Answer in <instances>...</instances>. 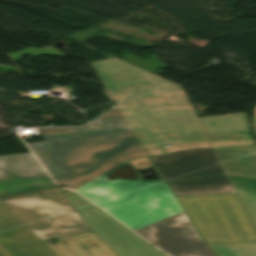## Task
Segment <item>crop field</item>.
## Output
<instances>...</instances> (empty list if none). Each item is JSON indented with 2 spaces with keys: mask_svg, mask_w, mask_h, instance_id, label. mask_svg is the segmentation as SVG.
<instances>
[{
  "mask_svg": "<svg viewBox=\"0 0 256 256\" xmlns=\"http://www.w3.org/2000/svg\"><path fill=\"white\" fill-rule=\"evenodd\" d=\"M101 208L170 256H215L197 235L165 183L97 177L79 191Z\"/></svg>",
  "mask_w": 256,
  "mask_h": 256,
  "instance_id": "crop-field-1",
  "label": "crop field"
},
{
  "mask_svg": "<svg viewBox=\"0 0 256 256\" xmlns=\"http://www.w3.org/2000/svg\"><path fill=\"white\" fill-rule=\"evenodd\" d=\"M17 195L30 196L4 202L39 239L90 231L31 153L0 157V199ZM47 214L53 218L43 217Z\"/></svg>",
  "mask_w": 256,
  "mask_h": 256,
  "instance_id": "crop-field-2",
  "label": "crop field"
},
{
  "mask_svg": "<svg viewBox=\"0 0 256 256\" xmlns=\"http://www.w3.org/2000/svg\"><path fill=\"white\" fill-rule=\"evenodd\" d=\"M117 108L149 155L211 148L180 86L167 80Z\"/></svg>",
  "mask_w": 256,
  "mask_h": 256,
  "instance_id": "crop-field-3",
  "label": "crop field"
},
{
  "mask_svg": "<svg viewBox=\"0 0 256 256\" xmlns=\"http://www.w3.org/2000/svg\"><path fill=\"white\" fill-rule=\"evenodd\" d=\"M60 186L146 154L132 130L27 144Z\"/></svg>",
  "mask_w": 256,
  "mask_h": 256,
  "instance_id": "crop-field-4",
  "label": "crop field"
},
{
  "mask_svg": "<svg viewBox=\"0 0 256 256\" xmlns=\"http://www.w3.org/2000/svg\"><path fill=\"white\" fill-rule=\"evenodd\" d=\"M176 199L206 244L256 241V235L234 194Z\"/></svg>",
  "mask_w": 256,
  "mask_h": 256,
  "instance_id": "crop-field-5",
  "label": "crop field"
},
{
  "mask_svg": "<svg viewBox=\"0 0 256 256\" xmlns=\"http://www.w3.org/2000/svg\"><path fill=\"white\" fill-rule=\"evenodd\" d=\"M65 196L81 214L93 233L116 255L167 256L72 191Z\"/></svg>",
  "mask_w": 256,
  "mask_h": 256,
  "instance_id": "crop-field-6",
  "label": "crop field"
},
{
  "mask_svg": "<svg viewBox=\"0 0 256 256\" xmlns=\"http://www.w3.org/2000/svg\"><path fill=\"white\" fill-rule=\"evenodd\" d=\"M90 65L116 105L161 80L116 58L91 62Z\"/></svg>",
  "mask_w": 256,
  "mask_h": 256,
  "instance_id": "crop-field-7",
  "label": "crop field"
},
{
  "mask_svg": "<svg viewBox=\"0 0 256 256\" xmlns=\"http://www.w3.org/2000/svg\"><path fill=\"white\" fill-rule=\"evenodd\" d=\"M150 158L166 182L224 173L213 150L182 152Z\"/></svg>",
  "mask_w": 256,
  "mask_h": 256,
  "instance_id": "crop-field-8",
  "label": "crop field"
},
{
  "mask_svg": "<svg viewBox=\"0 0 256 256\" xmlns=\"http://www.w3.org/2000/svg\"><path fill=\"white\" fill-rule=\"evenodd\" d=\"M0 246L10 256H55L3 201H0ZM0 256L7 255L0 249Z\"/></svg>",
  "mask_w": 256,
  "mask_h": 256,
  "instance_id": "crop-field-9",
  "label": "crop field"
},
{
  "mask_svg": "<svg viewBox=\"0 0 256 256\" xmlns=\"http://www.w3.org/2000/svg\"><path fill=\"white\" fill-rule=\"evenodd\" d=\"M213 149L255 145L245 114L198 118Z\"/></svg>",
  "mask_w": 256,
  "mask_h": 256,
  "instance_id": "crop-field-10",
  "label": "crop field"
},
{
  "mask_svg": "<svg viewBox=\"0 0 256 256\" xmlns=\"http://www.w3.org/2000/svg\"><path fill=\"white\" fill-rule=\"evenodd\" d=\"M128 129H130V127L123 118L122 114L116 108L85 127H56L39 129V131L42 134L44 140H48Z\"/></svg>",
  "mask_w": 256,
  "mask_h": 256,
  "instance_id": "crop-field-11",
  "label": "crop field"
},
{
  "mask_svg": "<svg viewBox=\"0 0 256 256\" xmlns=\"http://www.w3.org/2000/svg\"><path fill=\"white\" fill-rule=\"evenodd\" d=\"M57 240L54 244L44 241L57 256H116L92 232Z\"/></svg>",
  "mask_w": 256,
  "mask_h": 256,
  "instance_id": "crop-field-12",
  "label": "crop field"
},
{
  "mask_svg": "<svg viewBox=\"0 0 256 256\" xmlns=\"http://www.w3.org/2000/svg\"><path fill=\"white\" fill-rule=\"evenodd\" d=\"M174 196L234 193L226 175L169 183Z\"/></svg>",
  "mask_w": 256,
  "mask_h": 256,
  "instance_id": "crop-field-13",
  "label": "crop field"
},
{
  "mask_svg": "<svg viewBox=\"0 0 256 256\" xmlns=\"http://www.w3.org/2000/svg\"><path fill=\"white\" fill-rule=\"evenodd\" d=\"M215 153L225 173L256 177V148L222 149Z\"/></svg>",
  "mask_w": 256,
  "mask_h": 256,
  "instance_id": "crop-field-14",
  "label": "crop field"
},
{
  "mask_svg": "<svg viewBox=\"0 0 256 256\" xmlns=\"http://www.w3.org/2000/svg\"><path fill=\"white\" fill-rule=\"evenodd\" d=\"M256 230V179L228 175Z\"/></svg>",
  "mask_w": 256,
  "mask_h": 256,
  "instance_id": "crop-field-15",
  "label": "crop field"
},
{
  "mask_svg": "<svg viewBox=\"0 0 256 256\" xmlns=\"http://www.w3.org/2000/svg\"><path fill=\"white\" fill-rule=\"evenodd\" d=\"M208 246L217 256H256V242Z\"/></svg>",
  "mask_w": 256,
  "mask_h": 256,
  "instance_id": "crop-field-16",
  "label": "crop field"
},
{
  "mask_svg": "<svg viewBox=\"0 0 256 256\" xmlns=\"http://www.w3.org/2000/svg\"><path fill=\"white\" fill-rule=\"evenodd\" d=\"M127 162L130 163L133 167H141V166H147L151 164L148 158V155L138 156Z\"/></svg>",
  "mask_w": 256,
  "mask_h": 256,
  "instance_id": "crop-field-17",
  "label": "crop field"
},
{
  "mask_svg": "<svg viewBox=\"0 0 256 256\" xmlns=\"http://www.w3.org/2000/svg\"><path fill=\"white\" fill-rule=\"evenodd\" d=\"M100 174H102V173L94 174V175H91V176L84 177V178H82V179H80L78 181H75V182L69 184L67 186V188H71V189H74V190L78 191V190L81 189L80 188L81 185L87 183L88 181H90L91 179H93V178H95L97 176H100Z\"/></svg>",
  "mask_w": 256,
  "mask_h": 256,
  "instance_id": "crop-field-18",
  "label": "crop field"
},
{
  "mask_svg": "<svg viewBox=\"0 0 256 256\" xmlns=\"http://www.w3.org/2000/svg\"><path fill=\"white\" fill-rule=\"evenodd\" d=\"M252 119H253V124H254L255 132H256V117H252Z\"/></svg>",
  "mask_w": 256,
  "mask_h": 256,
  "instance_id": "crop-field-19",
  "label": "crop field"
},
{
  "mask_svg": "<svg viewBox=\"0 0 256 256\" xmlns=\"http://www.w3.org/2000/svg\"><path fill=\"white\" fill-rule=\"evenodd\" d=\"M108 187H109V185H108ZM109 189L111 190V188L109 187ZM112 191V190H111ZM112 193H113V191H112ZM114 194V193H113ZM115 195V194H114ZM115 197H116V195H115ZM117 198V197H116ZM118 199V198H117ZM106 205V204H105ZM102 206V205H101Z\"/></svg>",
  "mask_w": 256,
  "mask_h": 256,
  "instance_id": "crop-field-20",
  "label": "crop field"
},
{
  "mask_svg": "<svg viewBox=\"0 0 256 256\" xmlns=\"http://www.w3.org/2000/svg\"><path fill=\"white\" fill-rule=\"evenodd\" d=\"M6 254H7V252L2 248V247H0ZM8 255V254H7ZM9 256V255H8Z\"/></svg>",
  "mask_w": 256,
  "mask_h": 256,
  "instance_id": "crop-field-21",
  "label": "crop field"
},
{
  "mask_svg": "<svg viewBox=\"0 0 256 256\" xmlns=\"http://www.w3.org/2000/svg\"><path fill=\"white\" fill-rule=\"evenodd\" d=\"M255 112H256V108H255Z\"/></svg>",
  "mask_w": 256,
  "mask_h": 256,
  "instance_id": "crop-field-22",
  "label": "crop field"
}]
</instances>
